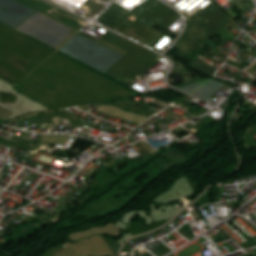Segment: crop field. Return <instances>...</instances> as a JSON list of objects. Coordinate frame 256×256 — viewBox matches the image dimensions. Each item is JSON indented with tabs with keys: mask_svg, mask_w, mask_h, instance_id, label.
Here are the masks:
<instances>
[{
	"mask_svg": "<svg viewBox=\"0 0 256 256\" xmlns=\"http://www.w3.org/2000/svg\"><path fill=\"white\" fill-rule=\"evenodd\" d=\"M192 67L198 69V70H201L207 74H210L212 75L216 70V68H214L213 66H211L210 64L204 62L203 60L201 59H197L194 64L192 65Z\"/></svg>",
	"mask_w": 256,
	"mask_h": 256,
	"instance_id": "obj_1",
	"label": "crop field"
},
{
	"mask_svg": "<svg viewBox=\"0 0 256 256\" xmlns=\"http://www.w3.org/2000/svg\"><path fill=\"white\" fill-rule=\"evenodd\" d=\"M231 43L235 40V36H233L224 26H222L219 30Z\"/></svg>",
	"mask_w": 256,
	"mask_h": 256,
	"instance_id": "obj_2",
	"label": "crop field"
}]
</instances>
